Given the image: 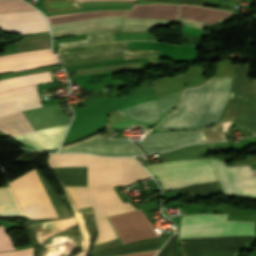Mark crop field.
<instances>
[{
    "label": "crop field",
    "instance_id": "crop-field-4",
    "mask_svg": "<svg viewBox=\"0 0 256 256\" xmlns=\"http://www.w3.org/2000/svg\"><path fill=\"white\" fill-rule=\"evenodd\" d=\"M175 20H162V19H147V18H123L122 16H105L91 19H85L75 22L59 23L49 25L52 30V37H61L68 35L83 34L102 30H115L121 29L122 31H146L148 32L157 26H170L171 23L183 24L199 29H206L214 24L202 23L187 19Z\"/></svg>",
    "mask_w": 256,
    "mask_h": 256
},
{
    "label": "crop field",
    "instance_id": "crop-field-7",
    "mask_svg": "<svg viewBox=\"0 0 256 256\" xmlns=\"http://www.w3.org/2000/svg\"><path fill=\"white\" fill-rule=\"evenodd\" d=\"M9 184L27 217H61L30 171Z\"/></svg>",
    "mask_w": 256,
    "mask_h": 256
},
{
    "label": "crop field",
    "instance_id": "crop-field-36",
    "mask_svg": "<svg viewBox=\"0 0 256 256\" xmlns=\"http://www.w3.org/2000/svg\"><path fill=\"white\" fill-rule=\"evenodd\" d=\"M117 59H123V57H119V58H109V59H103V60H97V61H89V62H82V63H74V64H66V65H64V67L74 66V65H80V64H86V63H92V62H99V61L117 60Z\"/></svg>",
    "mask_w": 256,
    "mask_h": 256
},
{
    "label": "crop field",
    "instance_id": "crop-field-11",
    "mask_svg": "<svg viewBox=\"0 0 256 256\" xmlns=\"http://www.w3.org/2000/svg\"><path fill=\"white\" fill-rule=\"evenodd\" d=\"M177 97L178 94H174L132 107L117 110V112L122 114L133 124L159 121L176 106Z\"/></svg>",
    "mask_w": 256,
    "mask_h": 256
},
{
    "label": "crop field",
    "instance_id": "crop-field-33",
    "mask_svg": "<svg viewBox=\"0 0 256 256\" xmlns=\"http://www.w3.org/2000/svg\"><path fill=\"white\" fill-rule=\"evenodd\" d=\"M51 69H52V66L51 67H46V68H41V69H36V70H31V71H26V72L2 75V76H0V79L13 77V76H18V75H23V74L35 73V72H40V71H45V70H51Z\"/></svg>",
    "mask_w": 256,
    "mask_h": 256
},
{
    "label": "crop field",
    "instance_id": "crop-field-8",
    "mask_svg": "<svg viewBox=\"0 0 256 256\" xmlns=\"http://www.w3.org/2000/svg\"><path fill=\"white\" fill-rule=\"evenodd\" d=\"M156 52L157 51L126 50V41H123L117 43L61 48L59 52V59L62 64H66L118 56H124V59L149 57Z\"/></svg>",
    "mask_w": 256,
    "mask_h": 256
},
{
    "label": "crop field",
    "instance_id": "crop-field-29",
    "mask_svg": "<svg viewBox=\"0 0 256 256\" xmlns=\"http://www.w3.org/2000/svg\"><path fill=\"white\" fill-rule=\"evenodd\" d=\"M31 6L22 0H0V12L32 10Z\"/></svg>",
    "mask_w": 256,
    "mask_h": 256
},
{
    "label": "crop field",
    "instance_id": "crop-field-19",
    "mask_svg": "<svg viewBox=\"0 0 256 256\" xmlns=\"http://www.w3.org/2000/svg\"><path fill=\"white\" fill-rule=\"evenodd\" d=\"M0 131L13 137L33 131L22 112L0 117Z\"/></svg>",
    "mask_w": 256,
    "mask_h": 256
},
{
    "label": "crop field",
    "instance_id": "crop-field-20",
    "mask_svg": "<svg viewBox=\"0 0 256 256\" xmlns=\"http://www.w3.org/2000/svg\"><path fill=\"white\" fill-rule=\"evenodd\" d=\"M53 81L51 71L0 80V92L34 83Z\"/></svg>",
    "mask_w": 256,
    "mask_h": 256
},
{
    "label": "crop field",
    "instance_id": "crop-field-12",
    "mask_svg": "<svg viewBox=\"0 0 256 256\" xmlns=\"http://www.w3.org/2000/svg\"><path fill=\"white\" fill-rule=\"evenodd\" d=\"M202 142L199 130L164 132L147 135L137 143L147 154L164 152L179 146Z\"/></svg>",
    "mask_w": 256,
    "mask_h": 256
},
{
    "label": "crop field",
    "instance_id": "crop-field-22",
    "mask_svg": "<svg viewBox=\"0 0 256 256\" xmlns=\"http://www.w3.org/2000/svg\"><path fill=\"white\" fill-rule=\"evenodd\" d=\"M75 217L42 223L36 230V239L39 244L44 243L47 237L71 226Z\"/></svg>",
    "mask_w": 256,
    "mask_h": 256
},
{
    "label": "crop field",
    "instance_id": "crop-field-31",
    "mask_svg": "<svg viewBox=\"0 0 256 256\" xmlns=\"http://www.w3.org/2000/svg\"><path fill=\"white\" fill-rule=\"evenodd\" d=\"M14 246L8 234L0 226V251L14 250Z\"/></svg>",
    "mask_w": 256,
    "mask_h": 256
},
{
    "label": "crop field",
    "instance_id": "crop-field-5",
    "mask_svg": "<svg viewBox=\"0 0 256 256\" xmlns=\"http://www.w3.org/2000/svg\"><path fill=\"white\" fill-rule=\"evenodd\" d=\"M251 64L235 65L229 99L219 122L235 119L237 126L256 134V100L250 82Z\"/></svg>",
    "mask_w": 256,
    "mask_h": 256
},
{
    "label": "crop field",
    "instance_id": "crop-field-1",
    "mask_svg": "<svg viewBox=\"0 0 256 256\" xmlns=\"http://www.w3.org/2000/svg\"><path fill=\"white\" fill-rule=\"evenodd\" d=\"M51 168L87 166V187H65L73 203L90 202L98 235L94 244L117 238L106 216L135 208L123 203L112 186L127 185L150 177L133 158H112L87 154H50Z\"/></svg>",
    "mask_w": 256,
    "mask_h": 256
},
{
    "label": "crop field",
    "instance_id": "crop-field-37",
    "mask_svg": "<svg viewBox=\"0 0 256 256\" xmlns=\"http://www.w3.org/2000/svg\"><path fill=\"white\" fill-rule=\"evenodd\" d=\"M78 1H88V0H78Z\"/></svg>",
    "mask_w": 256,
    "mask_h": 256
},
{
    "label": "crop field",
    "instance_id": "crop-field-9",
    "mask_svg": "<svg viewBox=\"0 0 256 256\" xmlns=\"http://www.w3.org/2000/svg\"><path fill=\"white\" fill-rule=\"evenodd\" d=\"M109 219L123 243L158 236L141 210L110 216Z\"/></svg>",
    "mask_w": 256,
    "mask_h": 256
},
{
    "label": "crop field",
    "instance_id": "crop-field-35",
    "mask_svg": "<svg viewBox=\"0 0 256 256\" xmlns=\"http://www.w3.org/2000/svg\"><path fill=\"white\" fill-rule=\"evenodd\" d=\"M157 250L155 251H147V252H139V253H133V254H127L122 256H155Z\"/></svg>",
    "mask_w": 256,
    "mask_h": 256
},
{
    "label": "crop field",
    "instance_id": "crop-field-23",
    "mask_svg": "<svg viewBox=\"0 0 256 256\" xmlns=\"http://www.w3.org/2000/svg\"><path fill=\"white\" fill-rule=\"evenodd\" d=\"M126 12L127 10L88 11V12H80V13H72V14L47 16V19L49 24H51V23L75 21V20H80V19H85L90 17H96V16L124 15Z\"/></svg>",
    "mask_w": 256,
    "mask_h": 256
},
{
    "label": "crop field",
    "instance_id": "crop-field-26",
    "mask_svg": "<svg viewBox=\"0 0 256 256\" xmlns=\"http://www.w3.org/2000/svg\"><path fill=\"white\" fill-rule=\"evenodd\" d=\"M120 31L121 30H117L113 32H120ZM109 41H113L112 31L95 32V33H89L87 40L60 43L58 44V48L64 47V46H71V45H82V44H91V43L109 42Z\"/></svg>",
    "mask_w": 256,
    "mask_h": 256
},
{
    "label": "crop field",
    "instance_id": "crop-field-17",
    "mask_svg": "<svg viewBox=\"0 0 256 256\" xmlns=\"http://www.w3.org/2000/svg\"><path fill=\"white\" fill-rule=\"evenodd\" d=\"M179 5L134 4L124 17H148L178 20Z\"/></svg>",
    "mask_w": 256,
    "mask_h": 256
},
{
    "label": "crop field",
    "instance_id": "crop-field-6",
    "mask_svg": "<svg viewBox=\"0 0 256 256\" xmlns=\"http://www.w3.org/2000/svg\"><path fill=\"white\" fill-rule=\"evenodd\" d=\"M228 214H188L181 220H226ZM255 221H181L180 238L254 235Z\"/></svg>",
    "mask_w": 256,
    "mask_h": 256
},
{
    "label": "crop field",
    "instance_id": "crop-field-34",
    "mask_svg": "<svg viewBox=\"0 0 256 256\" xmlns=\"http://www.w3.org/2000/svg\"><path fill=\"white\" fill-rule=\"evenodd\" d=\"M116 82L111 81V82L99 83V84L90 85L89 87L91 90H94V89L104 88V87H108V86H112V85H118L119 82L118 83H116Z\"/></svg>",
    "mask_w": 256,
    "mask_h": 256
},
{
    "label": "crop field",
    "instance_id": "crop-field-30",
    "mask_svg": "<svg viewBox=\"0 0 256 256\" xmlns=\"http://www.w3.org/2000/svg\"><path fill=\"white\" fill-rule=\"evenodd\" d=\"M132 67H141V62L126 63V64H119V65H112V66H105V67H97V68L80 69L76 71H77V74L80 75L85 73L126 69V68H132Z\"/></svg>",
    "mask_w": 256,
    "mask_h": 256
},
{
    "label": "crop field",
    "instance_id": "crop-field-3",
    "mask_svg": "<svg viewBox=\"0 0 256 256\" xmlns=\"http://www.w3.org/2000/svg\"><path fill=\"white\" fill-rule=\"evenodd\" d=\"M231 78H212L200 87L183 90L180 105L158 130L194 129L216 123L227 99Z\"/></svg>",
    "mask_w": 256,
    "mask_h": 256
},
{
    "label": "crop field",
    "instance_id": "crop-field-10",
    "mask_svg": "<svg viewBox=\"0 0 256 256\" xmlns=\"http://www.w3.org/2000/svg\"><path fill=\"white\" fill-rule=\"evenodd\" d=\"M130 142L122 139H105L97 135L80 143L62 147L59 149V152H88L98 155L114 156L142 154V152Z\"/></svg>",
    "mask_w": 256,
    "mask_h": 256
},
{
    "label": "crop field",
    "instance_id": "crop-field-2",
    "mask_svg": "<svg viewBox=\"0 0 256 256\" xmlns=\"http://www.w3.org/2000/svg\"><path fill=\"white\" fill-rule=\"evenodd\" d=\"M223 190L256 195V170L235 172L223 160L211 159ZM156 176L162 189L169 190L191 184L216 181L209 159L186 160L144 166Z\"/></svg>",
    "mask_w": 256,
    "mask_h": 256
},
{
    "label": "crop field",
    "instance_id": "crop-field-28",
    "mask_svg": "<svg viewBox=\"0 0 256 256\" xmlns=\"http://www.w3.org/2000/svg\"><path fill=\"white\" fill-rule=\"evenodd\" d=\"M47 12L81 8L75 0H44Z\"/></svg>",
    "mask_w": 256,
    "mask_h": 256
},
{
    "label": "crop field",
    "instance_id": "crop-field-21",
    "mask_svg": "<svg viewBox=\"0 0 256 256\" xmlns=\"http://www.w3.org/2000/svg\"><path fill=\"white\" fill-rule=\"evenodd\" d=\"M53 171L63 186H86V167H62Z\"/></svg>",
    "mask_w": 256,
    "mask_h": 256
},
{
    "label": "crop field",
    "instance_id": "crop-field-16",
    "mask_svg": "<svg viewBox=\"0 0 256 256\" xmlns=\"http://www.w3.org/2000/svg\"><path fill=\"white\" fill-rule=\"evenodd\" d=\"M68 124L22 134L16 139L40 150L58 147Z\"/></svg>",
    "mask_w": 256,
    "mask_h": 256
},
{
    "label": "crop field",
    "instance_id": "crop-field-27",
    "mask_svg": "<svg viewBox=\"0 0 256 256\" xmlns=\"http://www.w3.org/2000/svg\"><path fill=\"white\" fill-rule=\"evenodd\" d=\"M230 122L219 124L212 128L200 130L203 142L224 140L223 134L230 125Z\"/></svg>",
    "mask_w": 256,
    "mask_h": 256
},
{
    "label": "crop field",
    "instance_id": "crop-field-24",
    "mask_svg": "<svg viewBox=\"0 0 256 256\" xmlns=\"http://www.w3.org/2000/svg\"><path fill=\"white\" fill-rule=\"evenodd\" d=\"M22 214L9 187L0 188V216Z\"/></svg>",
    "mask_w": 256,
    "mask_h": 256
},
{
    "label": "crop field",
    "instance_id": "crop-field-14",
    "mask_svg": "<svg viewBox=\"0 0 256 256\" xmlns=\"http://www.w3.org/2000/svg\"><path fill=\"white\" fill-rule=\"evenodd\" d=\"M0 26L25 34L49 31L44 16L38 11L1 13Z\"/></svg>",
    "mask_w": 256,
    "mask_h": 256
},
{
    "label": "crop field",
    "instance_id": "crop-field-13",
    "mask_svg": "<svg viewBox=\"0 0 256 256\" xmlns=\"http://www.w3.org/2000/svg\"><path fill=\"white\" fill-rule=\"evenodd\" d=\"M57 63L51 49L0 56V74Z\"/></svg>",
    "mask_w": 256,
    "mask_h": 256
},
{
    "label": "crop field",
    "instance_id": "crop-field-25",
    "mask_svg": "<svg viewBox=\"0 0 256 256\" xmlns=\"http://www.w3.org/2000/svg\"><path fill=\"white\" fill-rule=\"evenodd\" d=\"M18 52L50 48L49 34L37 37H28L16 43Z\"/></svg>",
    "mask_w": 256,
    "mask_h": 256
},
{
    "label": "crop field",
    "instance_id": "crop-field-32",
    "mask_svg": "<svg viewBox=\"0 0 256 256\" xmlns=\"http://www.w3.org/2000/svg\"><path fill=\"white\" fill-rule=\"evenodd\" d=\"M0 256H33V248L22 249L14 252H1Z\"/></svg>",
    "mask_w": 256,
    "mask_h": 256
},
{
    "label": "crop field",
    "instance_id": "crop-field-15",
    "mask_svg": "<svg viewBox=\"0 0 256 256\" xmlns=\"http://www.w3.org/2000/svg\"><path fill=\"white\" fill-rule=\"evenodd\" d=\"M41 106L35 86L0 93V116Z\"/></svg>",
    "mask_w": 256,
    "mask_h": 256
},
{
    "label": "crop field",
    "instance_id": "crop-field-18",
    "mask_svg": "<svg viewBox=\"0 0 256 256\" xmlns=\"http://www.w3.org/2000/svg\"><path fill=\"white\" fill-rule=\"evenodd\" d=\"M231 13L232 12L181 4L179 17L202 22L216 23Z\"/></svg>",
    "mask_w": 256,
    "mask_h": 256
}]
</instances>
